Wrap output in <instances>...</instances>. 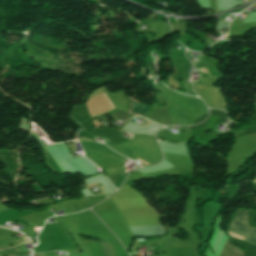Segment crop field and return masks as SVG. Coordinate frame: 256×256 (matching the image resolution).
I'll return each instance as SVG.
<instances>
[{"instance_id":"8a807250","label":"crop field","mask_w":256,"mask_h":256,"mask_svg":"<svg viewBox=\"0 0 256 256\" xmlns=\"http://www.w3.org/2000/svg\"><path fill=\"white\" fill-rule=\"evenodd\" d=\"M235 234H239L242 236L247 237L245 239V237L239 236V235H235ZM229 234L232 237H236L239 239H242L247 242L253 243L256 245V229L255 228H248V223H247V211H243V210H238L237 214L235 215L231 226L229 228Z\"/></svg>"},{"instance_id":"ac0d7876","label":"crop field","mask_w":256,"mask_h":256,"mask_svg":"<svg viewBox=\"0 0 256 256\" xmlns=\"http://www.w3.org/2000/svg\"><path fill=\"white\" fill-rule=\"evenodd\" d=\"M220 256H246L241 250L231 245L229 239Z\"/></svg>"},{"instance_id":"34b2d1b8","label":"crop field","mask_w":256,"mask_h":256,"mask_svg":"<svg viewBox=\"0 0 256 256\" xmlns=\"http://www.w3.org/2000/svg\"><path fill=\"white\" fill-rule=\"evenodd\" d=\"M101 244H102V248L104 251V256H109V249H108L107 245L104 243H101Z\"/></svg>"},{"instance_id":"412701ff","label":"crop field","mask_w":256,"mask_h":256,"mask_svg":"<svg viewBox=\"0 0 256 256\" xmlns=\"http://www.w3.org/2000/svg\"><path fill=\"white\" fill-rule=\"evenodd\" d=\"M102 94H103V96L105 97V99L107 100V102L109 103V105L111 106V108L114 109L113 106L111 105V103L108 101V99H107L106 96L104 95V93H102Z\"/></svg>"}]
</instances>
